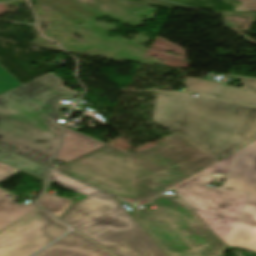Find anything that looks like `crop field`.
Instances as JSON below:
<instances>
[{
  "label": "crop field",
  "instance_id": "crop-field-3",
  "mask_svg": "<svg viewBox=\"0 0 256 256\" xmlns=\"http://www.w3.org/2000/svg\"><path fill=\"white\" fill-rule=\"evenodd\" d=\"M153 120L222 158L256 139V107L159 92Z\"/></svg>",
  "mask_w": 256,
  "mask_h": 256
},
{
  "label": "crop field",
  "instance_id": "crop-field-7",
  "mask_svg": "<svg viewBox=\"0 0 256 256\" xmlns=\"http://www.w3.org/2000/svg\"><path fill=\"white\" fill-rule=\"evenodd\" d=\"M222 189L250 193L227 244L256 252V140L238 149Z\"/></svg>",
  "mask_w": 256,
  "mask_h": 256
},
{
  "label": "crop field",
  "instance_id": "crop-field-14",
  "mask_svg": "<svg viewBox=\"0 0 256 256\" xmlns=\"http://www.w3.org/2000/svg\"><path fill=\"white\" fill-rule=\"evenodd\" d=\"M71 202L72 200L70 199L57 197L48 193H44L39 199V203L41 206L51 211L53 214H55L59 218L67 209V207L71 204Z\"/></svg>",
  "mask_w": 256,
  "mask_h": 256
},
{
  "label": "crop field",
  "instance_id": "crop-field-6",
  "mask_svg": "<svg viewBox=\"0 0 256 256\" xmlns=\"http://www.w3.org/2000/svg\"><path fill=\"white\" fill-rule=\"evenodd\" d=\"M213 180L197 174L173 189L227 242L249 194L207 187Z\"/></svg>",
  "mask_w": 256,
  "mask_h": 256
},
{
  "label": "crop field",
  "instance_id": "crop-field-2",
  "mask_svg": "<svg viewBox=\"0 0 256 256\" xmlns=\"http://www.w3.org/2000/svg\"><path fill=\"white\" fill-rule=\"evenodd\" d=\"M48 73L0 95V146L49 166L64 127L56 120L60 106L78 93Z\"/></svg>",
  "mask_w": 256,
  "mask_h": 256
},
{
  "label": "crop field",
  "instance_id": "crop-field-12",
  "mask_svg": "<svg viewBox=\"0 0 256 256\" xmlns=\"http://www.w3.org/2000/svg\"><path fill=\"white\" fill-rule=\"evenodd\" d=\"M8 195L10 194L0 190V231L39 208L31 203L14 207L1 200Z\"/></svg>",
  "mask_w": 256,
  "mask_h": 256
},
{
  "label": "crop field",
  "instance_id": "crop-field-15",
  "mask_svg": "<svg viewBox=\"0 0 256 256\" xmlns=\"http://www.w3.org/2000/svg\"><path fill=\"white\" fill-rule=\"evenodd\" d=\"M222 84L186 78V88L188 92H200L208 95H215Z\"/></svg>",
  "mask_w": 256,
  "mask_h": 256
},
{
  "label": "crop field",
  "instance_id": "crop-field-4",
  "mask_svg": "<svg viewBox=\"0 0 256 256\" xmlns=\"http://www.w3.org/2000/svg\"><path fill=\"white\" fill-rule=\"evenodd\" d=\"M50 180L88 196L62 220L103 248L117 256H167L116 198L54 170Z\"/></svg>",
  "mask_w": 256,
  "mask_h": 256
},
{
  "label": "crop field",
  "instance_id": "crop-field-21",
  "mask_svg": "<svg viewBox=\"0 0 256 256\" xmlns=\"http://www.w3.org/2000/svg\"><path fill=\"white\" fill-rule=\"evenodd\" d=\"M238 1H241V2H243L244 0H238Z\"/></svg>",
  "mask_w": 256,
  "mask_h": 256
},
{
  "label": "crop field",
  "instance_id": "crop-field-9",
  "mask_svg": "<svg viewBox=\"0 0 256 256\" xmlns=\"http://www.w3.org/2000/svg\"><path fill=\"white\" fill-rule=\"evenodd\" d=\"M36 256H112L76 231Z\"/></svg>",
  "mask_w": 256,
  "mask_h": 256
},
{
  "label": "crop field",
  "instance_id": "crop-field-1",
  "mask_svg": "<svg viewBox=\"0 0 256 256\" xmlns=\"http://www.w3.org/2000/svg\"><path fill=\"white\" fill-rule=\"evenodd\" d=\"M217 160L176 134L132 154L106 144L54 169L135 204Z\"/></svg>",
  "mask_w": 256,
  "mask_h": 256
},
{
  "label": "crop field",
  "instance_id": "crop-field-11",
  "mask_svg": "<svg viewBox=\"0 0 256 256\" xmlns=\"http://www.w3.org/2000/svg\"><path fill=\"white\" fill-rule=\"evenodd\" d=\"M230 77L239 78L243 88L223 85L218 98L256 106V78L230 75Z\"/></svg>",
  "mask_w": 256,
  "mask_h": 256
},
{
  "label": "crop field",
  "instance_id": "crop-field-20",
  "mask_svg": "<svg viewBox=\"0 0 256 256\" xmlns=\"http://www.w3.org/2000/svg\"><path fill=\"white\" fill-rule=\"evenodd\" d=\"M240 253L243 254L244 256H253V255H250V254H248L246 252H242V251H240Z\"/></svg>",
  "mask_w": 256,
  "mask_h": 256
},
{
  "label": "crop field",
  "instance_id": "crop-field-5",
  "mask_svg": "<svg viewBox=\"0 0 256 256\" xmlns=\"http://www.w3.org/2000/svg\"><path fill=\"white\" fill-rule=\"evenodd\" d=\"M159 211L137 209V218L171 256H218L225 244L178 196L153 199Z\"/></svg>",
  "mask_w": 256,
  "mask_h": 256
},
{
  "label": "crop field",
  "instance_id": "crop-field-13",
  "mask_svg": "<svg viewBox=\"0 0 256 256\" xmlns=\"http://www.w3.org/2000/svg\"><path fill=\"white\" fill-rule=\"evenodd\" d=\"M0 161L46 179L48 168L0 147Z\"/></svg>",
  "mask_w": 256,
  "mask_h": 256
},
{
  "label": "crop field",
  "instance_id": "crop-field-8",
  "mask_svg": "<svg viewBox=\"0 0 256 256\" xmlns=\"http://www.w3.org/2000/svg\"><path fill=\"white\" fill-rule=\"evenodd\" d=\"M66 231L64 223L40 209L0 234V256H29Z\"/></svg>",
  "mask_w": 256,
  "mask_h": 256
},
{
  "label": "crop field",
  "instance_id": "crop-field-10",
  "mask_svg": "<svg viewBox=\"0 0 256 256\" xmlns=\"http://www.w3.org/2000/svg\"><path fill=\"white\" fill-rule=\"evenodd\" d=\"M102 145L104 144L67 129L64 144L57 158L67 162Z\"/></svg>",
  "mask_w": 256,
  "mask_h": 256
},
{
  "label": "crop field",
  "instance_id": "crop-field-18",
  "mask_svg": "<svg viewBox=\"0 0 256 256\" xmlns=\"http://www.w3.org/2000/svg\"><path fill=\"white\" fill-rule=\"evenodd\" d=\"M18 170L19 169H17V168L11 167L9 165H6V164L0 162V181H2L3 179L7 178L10 175H12L13 173H15Z\"/></svg>",
  "mask_w": 256,
  "mask_h": 256
},
{
  "label": "crop field",
  "instance_id": "crop-field-19",
  "mask_svg": "<svg viewBox=\"0 0 256 256\" xmlns=\"http://www.w3.org/2000/svg\"><path fill=\"white\" fill-rule=\"evenodd\" d=\"M235 11H248L256 12V0H246L240 7Z\"/></svg>",
  "mask_w": 256,
  "mask_h": 256
},
{
  "label": "crop field",
  "instance_id": "crop-field-16",
  "mask_svg": "<svg viewBox=\"0 0 256 256\" xmlns=\"http://www.w3.org/2000/svg\"><path fill=\"white\" fill-rule=\"evenodd\" d=\"M237 151L232 152L231 154L227 155L226 157L222 158L218 162L214 163L210 167L206 168L201 174H209L213 175V173L222 174L224 173L227 175V172L232 164V161L236 155Z\"/></svg>",
  "mask_w": 256,
  "mask_h": 256
},
{
  "label": "crop field",
  "instance_id": "crop-field-17",
  "mask_svg": "<svg viewBox=\"0 0 256 256\" xmlns=\"http://www.w3.org/2000/svg\"><path fill=\"white\" fill-rule=\"evenodd\" d=\"M21 85L11 74L0 66V94Z\"/></svg>",
  "mask_w": 256,
  "mask_h": 256
}]
</instances>
